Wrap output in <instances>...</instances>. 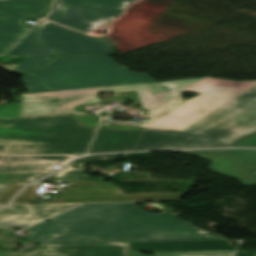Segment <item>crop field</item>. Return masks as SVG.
Returning <instances> with one entry per match:
<instances>
[{
  "mask_svg": "<svg viewBox=\"0 0 256 256\" xmlns=\"http://www.w3.org/2000/svg\"><path fill=\"white\" fill-rule=\"evenodd\" d=\"M255 85L256 81L232 82L206 77L182 81L26 94L21 95L23 99L22 116L59 113L86 114L76 113L73 109L75 106L100 101L97 95L101 92L137 90L140 102L143 108H149L148 116L151 118L143 122L141 127L184 129ZM180 92H195L201 95L183 101Z\"/></svg>",
  "mask_w": 256,
  "mask_h": 256,
  "instance_id": "8a807250",
  "label": "crop field"
},
{
  "mask_svg": "<svg viewBox=\"0 0 256 256\" xmlns=\"http://www.w3.org/2000/svg\"><path fill=\"white\" fill-rule=\"evenodd\" d=\"M51 223L71 229L43 244L226 240L171 215L149 213L135 203L86 204Z\"/></svg>",
  "mask_w": 256,
  "mask_h": 256,
  "instance_id": "ac0d7876",
  "label": "crop field"
},
{
  "mask_svg": "<svg viewBox=\"0 0 256 256\" xmlns=\"http://www.w3.org/2000/svg\"><path fill=\"white\" fill-rule=\"evenodd\" d=\"M256 131V86L184 130L145 128L135 150L228 147Z\"/></svg>",
  "mask_w": 256,
  "mask_h": 256,
  "instance_id": "34b2d1b8",
  "label": "crop field"
},
{
  "mask_svg": "<svg viewBox=\"0 0 256 256\" xmlns=\"http://www.w3.org/2000/svg\"><path fill=\"white\" fill-rule=\"evenodd\" d=\"M96 129L70 115L0 119V154L82 155Z\"/></svg>",
  "mask_w": 256,
  "mask_h": 256,
  "instance_id": "412701ff",
  "label": "crop field"
},
{
  "mask_svg": "<svg viewBox=\"0 0 256 256\" xmlns=\"http://www.w3.org/2000/svg\"><path fill=\"white\" fill-rule=\"evenodd\" d=\"M47 68L27 73L41 77L54 90L154 82L144 73H133L108 56H57Z\"/></svg>",
  "mask_w": 256,
  "mask_h": 256,
  "instance_id": "f4fd0767",
  "label": "crop field"
},
{
  "mask_svg": "<svg viewBox=\"0 0 256 256\" xmlns=\"http://www.w3.org/2000/svg\"><path fill=\"white\" fill-rule=\"evenodd\" d=\"M133 0H55L46 20L88 33L102 22L117 17Z\"/></svg>",
  "mask_w": 256,
  "mask_h": 256,
  "instance_id": "dd49c442",
  "label": "crop field"
},
{
  "mask_svg": "<svg viewBox=\"0 0 256 256\" xmlns=\"http://www.w3.org/2000/svg\"><path fill=\"white\" fill-rule=\"evenodd\" d=\"M187 193L188 192L124 194L121 189L112 182L68 183V188H59L58 193L51 197L50 201L42 202V204L181 200Z\"/></svg>",
  "mask_w": 256,
  "mask_h": 256,
  "instance_id": "e52e79f7",
  "label": "crop field"
},
{
  "mask_svg": "<svg viewBox=\"0 0 256 256\" xmlns=\"http://www.w3.org/2000/svg\"><path fill=\"white\" fill-rule=\"evenodd\" d=\"M38 27H40L41 45L57 50L58 55L112 54V46L104 40L68 30L47 21Z\"/></svg>",
  "mask_w": 256,
  "mask_h": 256,
  "instance_id": "d8731c3e",
  "label": "crop field"
},
{
  "mask_svg": "<svg viewBox=\"0 0 256 256\" xmlns=\"http://www.w3.org/2000/svg\"><path fill=\"white\" fill-rule=\"evenodd\" d=\"M50 0L0 1V54L28 30L22 21L46 12Z\"/></svg>",
  "mask_w": 256,
  "mask_h": 256,
  "instance_id": "5a996713",
  "label": "crop field"
},
{
  "mask_svg": "<svg viewBox=\"0 0 256 256\" xmlns=\"http://www.w3.org/2000/svg\"><path fill=\"white\" fill-rule=\"evenodd\" d=\"M214 160L209 169L241 181L243 185H256V180L247 173L256 169V150H227L185 152Z\"/></svg>",
  "mask_w": 256,
  "mask_h": 256,
  "instance_id": "3316defc",
  "label": "crop field"
},
{
  "mask_svg": "<svg viewBox=\"0 0 256 256\" xmlns=\"http://www.w3.org/2000/svg\"><path fill=\"white\" fill-rule=\"evenodd\" d=\"M19 256H129V243L39 245Z\"/></svg>",
  "mask_w": 256,
  "mask_h": 256,
  "instance_id": "28ad6ade",
  "label": "crop field"
},
{
  "mask_svg": "<svg viewBox=\"0 0 256 256\" xmlns=\"http://www.w3.org/2000/svg\"><path fill=\"white\" fill-rule=\"evenodd\" d=\"M73 156H0V173H51Z\"/></svg>",
  "mask_w": 256,
  "mask_h": 256,
  "instance_id": "d1516ede",
  "label": "crop field"
},
{
  "mask_svg": "<svg viewBox=\"0 0 256 256\" xmlns=\"http://www.w3.org/2000/svg\"><path fill=\"white\" fill-rule=\"evenodd\" d=\"M81 203L50 205H14L0 212V222L37 223Z\"/></svg>",
  "mask_w": 256,
  "mask_h": 256,
  "instance_id": "22f410ed",
  "label": "crop field"
},
{
  "mask_svg": "<svg viewBox=\"0 0 256 256\" xmlns=\"http://www.w3.org/2000/svg\"><path fill=\"white\" fill-rule=\"evenodd\" d=\"M240 245H229L228 241H186V242H148L130 243V253L141 251H224L238 250Z\"/></svg>",
  "mask_w": 256,
  "mask_h": 256,
  "instance_id": "cbeb9de0",
  "label": "crop field"
},
{
  "mask_svg": "<svg viewBox=\"0 0 256 256\" xmlns=\"http://www.w3.org/2000/svg\"><path fill=\"white\" fill-rule=\"evenodd\" d=\"M142 132L100 128L88 153L134 150Z\"/></svg>",
  "mask_w": 256,
  "mask_h": 256,
  "instance_id": "5142ce71",
  "label": "crop field"
},
{
  "mask_svg": "<svg viewBox=\"0 0 256 256\" xmlns=\"http://www.w3.org/2000/svg\"><path fill=\"white\" fill-rule=\"evenodd\" d=\"M55 54L49 47L39 46L38 32L34 28L24 36L6 55Z\"/></svg>",
  "mask_w": 256,
  "mask_h": 256,
  "instance_id": "d9b57169",
  "label": "crop field"
},
{
  "mask_svg": "<svg viewBox=\"0 0 256 256\" xmlns=\"http://www.w3.org/2000/svg\"><path fill=\"white\" fill-rule=\"evenodd\" d=\"M27 230L31 233L27 237H25L26 240H31L33 242L41 244L44 241L67 231L68 229L59 227L51 223L43 222L36 226L29 227Z\"/></svg>",
  "mask_w": 256,
  "mask_h": 256,
  "instance_id": "733c2abd",
  "label": "crop field"
},
{
  "mask_svg": "<svg viewBox=\"0 0 256 256\" xmlns=\"http://www.w3.org/2000/svg\"><path fill=\"white\" fill-rule=\"evenodd\" d=\"M104 181L103 178H94L84 174V171H60L39 182H87Z\"/></svg>",
  "mask_w": 256,
  "mask_h": 256,
  "instance_id": "4a817a6b",
  "label": "crop field"
},
{
  "mask_svg": "<svg viewBox=\"0 0 256 256\" xmlns=\"http://www.w3.org/2000/svg\"><path fill=\"white\" fill-rule=\"evenodd\" d=\"M55 58V55L29 56L21 62L12 72L23 73L45 67Z\"/></svg>",
  "mask_w": 256,
  "mask_h": 256,
  "instance_id": "bc2a9ffb",
  "label": "crop field"
},
{
  "mask_svg": "<svg viewBox=\"0 0 256 256\" xmlns=\"http://www.w3.org/2000/svg\"><path fill=\"white\" fill-rule=\"evenodd\" d=\"M47 174H0V183H29Z\"/></svg>",
  "mask_w": 256,
  "mask_h": 256,
  "instance_id": "214f88e0",
  "label": "crop field"
},
{
  "mask_svg": "<svg viewBox=\"0 0 256 256\" xmlns=\"http://www.w3.org/2000/svg\"><path fill=\"white\" fill-rule=\"evenodd\" d=\"M236 251L225 252H175V253H154V256H234ZM130 256H144L141 253L130 254Z\"/></svg>",
  "mask_w": 256,
  "mask_h": 256,
  "instance_id": "92a150f3",
  "label": "crop field"
},
{
  "mask_svg": "<svg viewBox=\"0 0 256 256\" xmlns=\"http://www.w3.org/2000/svg\"><path fill=\"white\" fill-rule=\"evenodd\" d=\"M41 184H35L27 189H25L21 194H19L11 204H20V203H32L37 202L38 198L35 197L37 189Z\"/></svg>",
  "mask_w": 256,
  "mask_h": 256,
  "instance_id": "dafd665d",
  "label": "crop field"
},
{
  "mask_svg": "<svg viewBox=\"0 0 256 256\" xmlns=\"http://www.w3.org/2000/svg\"><path fill=\"white\" fill-rule=\"evenodd\" d=\"M22 81L24 82V84L27 86V88L29 89V91L31 93L34 92H43V91H51L49 89L44 88L41 84H40V80L39 78L36 77H32V76H28L23 74V78Z\"/></svg>",
  "mask_w": 256,
  "mask_h": 256,
  "instance_id": "00972430",
  "label": "crop field"
},
{
  "mask_svg": "<svg viewBox=\"0 0 256 256\" xmlns=\"http://www.w3.org/2000/svg\"><path fill=\"white\" fill-rule=\"evenodd\" d=\"M20 117V103H10L0 108V118Z\"/></svg>",
  "mask_w": 256,
  "mask_h": 256,
  "instance_id": "a9b5d70f",
  "label": "crop field"
},
{
  "mask_svg": "<svg viewBox=\"0 0 256 256\" xmlns=\"http://www.w3.org/2000/svg\"><path fill=\"white\" fill-rule=\"evenodd\" d=\"M99 159H116V157H115V154L97 155V156L85 157V158H81L79 160H76V161L70 163L64 169H83L82 164L84 162L89 161V160H99Z\"/></svg>",
  "mask_w": 256,
  "mask_h": 256,
  "instance_id": "4177f3b9",
  "label": "crop field"
},
{
  "mask_svg": "<svg viewBox=\"0 0 256 256\" xmlns=\"http://www.w3.org/2000/svg\"><path fill=\"white\" fill-rule=\"evenodd\" d=\"M26 184H10L7 189L0 195V204L7 203L11 197Z\"/></svg>",
  "mask_w": 256,
  "mask_h": 256,
  "instance_id": "730fd06b",
  "label": "crop field"
},
{
  "mask_svg": "<svg viewBox=\"0 0 256 256\" xmlns=\"http://www.w3.org/2000/svg\"><path fill=\"white\" fill-rule=\"evenodd\" d=\"M25 57H0V65L16 67Z\"/></svg>",
  "mask_w": 256,
  "mask_h": 256,
  "instance_id": "eef30255",
  "label": "crop field"
},
{
  "mask_svg": "<svg viewBox=\"0 0 256 256\" xmlns=\"http://www.w3.org/2000/svg\"><path fill=\"white\" fill-rule=\"evenodd\" d=\"M233 146H235V147H240V146L256 147V134L248 137L247 139H245Z\"/></svg>",
  "mask_w": 256,
  "mask_h": 256,
  "instance_id": "ae1a2a85",
  "label": "crop field"
},
{
  "mask_svg": "<svg viewBox=\"0 0 256 256\" xmlns=\"http://www.w3.org/2000/svg\"><path fill=\"white\" fill-rule=\"evenodd\" d=\"M82 120L90 121L93 123H99L98 117H95L93 115H86V116H79Z\"/></svg>",
  "mask_w": 256,
  "mask_h": 256,
  "instance_id": "d3111659",
  "label": "crop field"
},
{
  "mask_svg": "<svg viewBox=\"0 0 256 256\" xmlns=\"http://www.w3.org/2000/svg\"><path fill=\"white\" fill-rule=\"evenodd\" d=\"M237 256H256V251H239Z\"/></svg>",
  "mask_w": 256,
  "mask_h": 256,
  "instance_id": "750c4746",
  "label": "crop field"
},
{
  "mask_svg": "<svg viewBox=\"0 0 256 256\" xmlns=\"http://www.w3.org/2000/svg\"><path fill=\"white\" fill-rule=\"evenodd\" d=\"M28 225H13V224H0V227H16V228H24Z\"/></svg>",
  "mask_w": 256,
  "mask_h": 256,
  "instance_id": "bd1437ed",
  "label": "crop field"
},
{
  "mask_svg": "<svg viewBox=\"0 0 256 256\" xmlns=\"http://www.w3.org/2000/svg\"><path fill=\"white\" fill-rule=\"evenodd\" d=\"M100 127H109V128H124V129H134V130H141L143 131L144 128H133V127H116V126H104L101 125Z\"/></svg>",
  "mask_w": 256,
  "mask_h": 256,
  "instance_id": "1d83c4d3",
  "label": "crop field"
},
{
  "mask_svg": "<svg viewBox=\"0 0 256 256\" xmlns=\"http://www.w3.org/2000/svg\"><path fill=\"white\" fill-rule=\"evenodd\" d=\"M9 184H0V194L6 189ZM2 206V205H0Z\"/></svg>",
  "mask_w": 256,
  "mask_h": 256,
  "instance_id": "120bbe31",
  "label": "crop field"
},
{
  "mask_svg": "<svg viewBox=\"0 0 256 256\" xmlns=\"http://www.w3.org/2000/svg\"><path fill=\"white\" fill-rule=\"evenodd\" d=\"M248 174H250L252 177H254L256 179V170H254V171H252V172H250Z\"/></svg>",
  "mask_w": 256,
  "mask_h": 256,
  "instance_id": "d32e631a",
  "label": "crop field"
},
{
  "mask_svg": "<svg viewBox=\"0 0 256 256\" xmlns=\"http://www.w3.org/2000/svg\"><path fill=\"white\" fill-rule=\"evenodd\" d=\"M84 123H85L86 125H89V126H97L96 124L89 123V122H86V121H84Z\"/></svg>",
  "mask_w": 256,
  "mask_h": 256,
  "instance_id": "5866460e",
  "label": "crop field"
},
{
  "mask_svg": "<svg viewBox=\"0 0 256 256\" xmlns=\"http://www.w3.org/2000/svg\"><path fill=\"white\" fill-rule=\"evenodd\" d=\"M0 67H4V66H0ZM5 69L9 70V71H12L14 68H11V67H4Z\"/></svg>",
  "mask_w": 256,
  "mask_h": 256,
  "instance_id": "028f5c9d",
  "label": "crop field"
}]
</instances>
